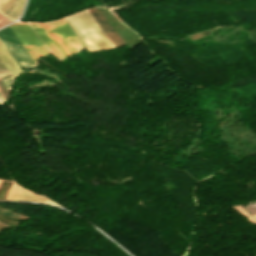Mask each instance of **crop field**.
I'll return each instance as SVG.
<instances>
[{
  "mask_svg": "<svg viewBox=\"0 0 256 256\" xmlns=\"http://www.w3.org/2000/svg\"><path fill=\"white\" fill-rule=\"evenodd\" d=\"M29 24L58 60L85 48L64 19L46 24Z\"/></svg>",
  "mask_w": 256,
  "mask_h": 256,
  "instance_id": "crop-field-1",
  "label": "crop field"
},
{
  "mask_svg": "<svg viewBox=\"0 0 256 256\" xmlns=\"http://www.w3.org/2000/svg\"><path fill=\"white\" fill-rule=\"evenodd\" d=\"M65 20L89 52L114 47L88 10L67 17Z\"/></svg>",
  "mask_w": 256,
  "mask_h": 256,
  "instance_id": "crop-field-2",
  "label": "crop field"
},
{
  "mask_svg": "<svg viewBox=\"0 0 256 256\" xmlns=\"http://www.w3.org/2000/svg\"><path fill=\"white\" fill-rule=\"evenodd\" d=\"M9 28L36 62V59L48 55L49 52L26 23H14Z\"/></svg>",
  "mask_w": 256,
  "mask_h": 256,
  "instance_id": "crop-field-3",
  "label": "crop field"
},
{
  "mask_svg": "<svg viewBox=\"0 0 256 256\" xmlns=\"http://www.w3.org/2000/svg\"><path fill=\"white\" fill-rule=\"evenodd\" d=\"M24 0H0V13L13 21L20 15Z\"/></svg>",
  "mask_w": 256,
  "mask_h": 256,
  "instance_id": "crop-field-4",
  "label": "crop field"
},
{
  "mask_svg": "<svg viewBox=\"0 0 256 256\" xmlns=\"http://www.w3.org/2000/svg\"><path fill=\"white\" fill-rule=\"evenodd\" d=\"M89 12L92 14L94 19L100 25L102 30L105 32L110 41L117 48L119 46L124 45L123 41L119 38V36L115 33V31L111 28V26L107 23V21L102 17V15L97 11L96 8L89 9Z\"/></svg>",
  "mask_w": 256,
  "mask_h": 256,
  "instance_id": "crop-field-5",
  "label": "crop field"
},
{
  "mask_svg": "<svg viewBox=\"0 0 256 256\" xmlns=\"http://www.w3.org/2000/svg\"><path fill=\"white\" fill-rule=\"evenodd\" d=\"M0 59L4 63V65L7 67V69L10 71V73L13 75L14 78L22 72V70L19 68V66L16 64V62L13 60V58L10 56V54L1 44V42H0Z\"/></svg>",
  "mask_w": 256,
  "mask_h": 256,
  "instance_id": "crop-field-6",
  "label": "crop field"
},
{
  "mask_svg": "<svg viewBox=\"0 0 256 256\" xmlns=\"http://www.w3.org/2000/svg\"><path fill=\"white\" fill-rule=\"evenodd\" d=\"M0 79L3 81L6 87L10 90V86L14 78L12 77V75L9 73V71L6 69V67L3 65L1 61H0Z\"/></svg>",
  "mask_w": 256,
  "mask_h": 256,
  "instance_id": "crop-field-7",
  "label": "crop field"
},
{
  "mask_svg": "<svg viewBox=\"0 0 256 256\" xmlns=\"http://www.w3.org/2000/svg\"><path fill=\"white\" fill-rule=\"evenodd\" d=\"M0 93L2 94V96L5 98V100L8 97V89L5 87V85L2 83V81L0 80Z\"/></svg>",
  "mask_w": 256,
  "mask_h": 256,
  "instance_id": "crop-field-8",
  "label": "crop field"
},
{
  "mask_svg": "<svg viewBox=\"0 0 256 256\" xmlns=\"http://www.w3.org/2000/svg\"><path fill=\"white\" fill-rule=\"evenodd\" d=\"M10 22L8 19H6L5 17H3L2 15H0V26L6 24Z\"/></svg>",
  "mask_w": 256,
  "mask_h": 256,
  "instance_id": "crop-field-9",
  "label": "crop field"
},
{
  "mask_svg": "<svg viewBox=\"0 0 256 256\" xmlns=\"http://www.w3.org/2000/svg\"><path fill=\"white\" fill-rule=\"evenodd\" d=\"M3 101H5V100H4V98L0 94V102H3Z\"/></svg>",
  "mask_w": 256,
  "mask_h": 256,
  "instance_id": "crop-field-10",
  "label": "crop field"
},
{
  "mask_svg": "<svg viewBox=\"0 0 256 256\" xmlns=\"http://www.w3.org/2000/svg\"><path fill=\"white\" fill-rule=\"evenodd\" d=\"M254 218L256 219V216Z\"/></svg>",
  "mask_w": 256,
  "mask_h": 256,
  "instance_id": "crop-field-11",
  "label": "crop field"
}]
</instances>
